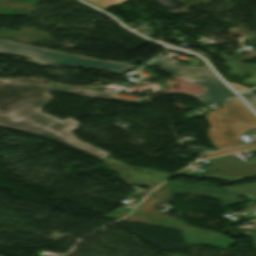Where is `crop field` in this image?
Masks as SVG:
<instances>
[{
	"label": "crop field",
	"instance_id": "1",
	"mask_svg": "<svg viewBox=\"0 0 256 256\" xmlns=\"http://www.w3.org/2000/svg\"><path fill=\"white\" fill-rule=\"evenodd\" d=\"M52 90L73 92L80 96L118 100L141 104L137 101L112 98L114 93L85 89H68L43 84H28L0 78V126L33 134L50 140L70 144L100 159L110 154L76 138L72 130L79 122L68 118L64 121L41 112L54 97Z\"/></svg>",
	"mask_w": 256,
	"mask_h": 256
},
{
	"label": "crop field",
	"instance_id": "2",
	"mask_svg": "<svg viewBox=\"0 0 256 256\" xmlns=\"http://www.w3.org/2000/svg\"><path fill=\"white\" fill-rule=\"evenodd\" d=\"M206 117L211 125L208 137L217 149L245 144L240 136L256 128V119L241 100L223 104L220 110L207 112Z\"/></svg>",
	"mask_w": 256,
	"mask_h": 256
},
{
	"label": "crop field",
	"instance_id": "3",
	"mask_svg": "<svg viewBox=\"0 0 256 256\" xmlns=\"http://www.w3.org/2000/svg\"><path fill=\"white\" fill-rule=\"evenodd\" d=\"M0 54L21 55L33 60L30 62H37L45 65L93 67L111 70L118 74L133 67L119 62L99 61L80 55L63 53L5 40H0Z\"/></svg>",
	"mask_w": 256,
	"mask_h": 256
},
{
	"label": "crop field",
	"instance_id": "4",
	"mask_svg": "<svg viewBox=\"0 0 256 256\" xmlns=\"http://www.w3.org/2000/svg\"><path fill=\"white\" fill-rule=\"evenodd\" d=\"M148 64L162 66L163 71L171 75L180 76L186 81L205 86L201 94L194 95V97H197L201 102L213 104L238 98L217 79L207 66L184 67L160 57Z\"/></svg>",
	"mask_w": 256,
	"mask_h": 256
},
{
	"label": "crop field",
	"instance_id": "5",
	"mask_svg": "<svg viewBox=\"0 0 256 256\" xmlns=\"http://www.w3.org/2000/svg\"><path fill=\"white\" fill-rule=\"evenodd\" d=\"M194 177L217 178V179L230 180V181L244 180V179L256 177V163L235 167V168H230L226 170L201 174Z\"/></svg>",
	"mask_w": 256,
	"mask_h": 256
},
{
	"label": "crop field",
	"instance_id": "6",
	"mask_svg": "<svg viewBox=\"0 0 256 256\" xmlns=\"http://www.w3.org/2000/svg\"><path fill=\"white\" fill-rule=\"evenodd\" d=\"M183 234H184L185 243L193 244V245L207 244V245L225 249L238 242L228 238L195 232V231H191L184 228H183Z\"/></svg>",
	"mask_w": 256,
	"mask_h": 256
},
{
	"label": "crop field",
	"instance_id": "7",
	"mask_svg": "<svg viewBox=\"0 0 256 256\" xmlns=\"http://www.w3.org/2000/svg\"><path fill=\"white\" fill-rule=\"evenodd\" d=\"M225 190L239 193L245 197L252 199L253 201H256V183L252 185L226 188Z\"/></svg>",
	"mask_w": 256,
	"mask_h": 256
},
{
	"label": "crop field",
	"instance_id": "8",
	"mask_svg": "<svg viewBox=\"0 0 256 256\" xmlns=\"http://www.w3.org/2000/svg\"><path fill=\"white\" fill-rule=\"evenodd\" d=\"M254 147H256V144L241 146V147H235V148H230V149H226V150H221V151L209 153V154H207L203 157L205 158V157H210V156H214V155H218V154H227V153H232V152H236V151H239V150L249 149V148H254Z\"/></svg>",
	"mask_w": 256,
	"mask_h": 256
},
{
	"label": "crop field",
	"instance_id": "9",
	"mask_svg": "<svg viewBox=\"0 0 256 256\" xmlns=\"http://www.w3.org/2000/svg\"><path fill=\"white\" fill-rule=\"evenodd\" d=\"M103 9H106L118 2L124 1V0H87Z\"/></svg>",
	"mask_w": 256,
	"mask_h": 256
},
{
	"label": "crop field",
	"instance_id": "10",
	"mask_svg": "<svg viewBox=\"0 0 256 256\" xmlns=\"http://www.w3.org/2000/svg\"><path fill=\"white\" fill-rule=\"evenodd\" d=\"M241 95L246 99L251 107L256 110V94L252 91H248L245 93H241Z\"/></svg>",
	"mask_w": 256,
	"mask_h": 256
},
{
	"label": "crop field",
	"instance_id": "11",
	"mask_svg": "<svg viewBox=\"0 0 256 256\" xmlns=\"http://www.w3.org/2000/svg\"><path fill=\"white\" fill-rule=\"evenodd\" d=\"M180 221H181V225H182V227H184V228L200 230V229H196V228L189 227V226L185 225V223H184V221H183V220H180ZM200 231H204V230H200ZM205 232H209V231H205ZM209 233H213V232H209ZM213 234H218V233H213ZM218 235H222V234H218ZM222 236H226V235H222ZM226 237H228V236H226Z\"/></svg>",
	"mask_w": 256,
	"mask_h": 256
},
{
	"label": "crop field",
	"instance_id": "12",
	"mask_svg": "<svg viewBox=\"0 0 256 256\" xmlns=\"http://www.w3.org/2000/svg\"><path fill=\"white\" fill-rule=\"evenodd\" d=\"M237 91H241V90H245V89H249L248 87H245V86H242V85H234V84H231Z\"/></svg>",
	"mask_w": 256,
	"mask_h": 256
},
{
	"label": "crop field",
	"instance_id": "13",
	"mask_svg": "<svg viewBox=\"0 0 256 256\" xmlns=\"http://www.w3.org/2000/svg\"><path fill=\"white\" fill-rule=\"evenodd\" d=\"M244 80L256 84V76Z\"/></svg>",
	"mask_w": 256,
	"mask_h": 256
},
{
	"label": "crop field",
	"instance_id": "14",
	"mask_svg": "<svg viewBox=\"0 0 256 256\" xmlns=\"http://www.w3.org/2000/svg\"><path fill=\"white\" fill-rule=\"evenodd\" d=\"M254 241H255V243H256V237H254Z\"/></svg>",
	"mask_w": 256,
	"mask_h": 256
}]
</instances>
